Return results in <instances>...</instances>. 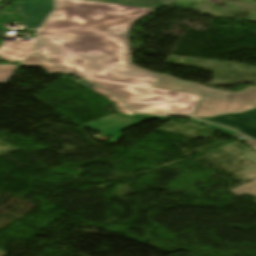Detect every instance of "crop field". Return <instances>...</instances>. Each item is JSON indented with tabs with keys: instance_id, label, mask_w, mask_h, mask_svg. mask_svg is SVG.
<instances>
[{
	"instance_id": "1",
	"label": "crop field",
	"mask_w": 256,
	"mask_h": 256,
	"mask_svg": "<svg viewBox=\"0 0 256 256\" xmlns=\"http://www.w3.org/2000/svg\"><path fill=\"white\" fill-rule=\"evenodd\" d=\"M56 2L39 32L38 54L98 84L133 111L192 117L202 96L152 88L158 74L131 63L127 39L131 25L154 9L84 0Z\"/></svg>"
},
{
	"instance_id": "2",
	"label": "crop field",
	"mask_w": 256,
	"mask_h": 256,
	"mask_svg": "<svg viewBox=\"0 0 256 256\" xmlns=\"http://www.w3.org/2000/svg\"><path fill=\"white\" fill-rule=\"evenodd\" d=\"M154 87L256 104V87H247L245 90L240 92H229L227 94H223L201 90L203 87L202 85L180 81L174 77L164 74L159 75Z\"/></svg>"
},
{
	"instance_id": "3",
	"label": "crop field",
	"mask_w": 256,
	"mask_h": 256,
	"mask_svg": "<svg viewBox=\"0 0 256 256\" xmlns=\"http://www.w3.org/2000/svg\"><path fill=\"white\" fill-rule=\"evenodd\" d=\"M255 107L256 105L204 96L193 117H212L225 113H239Z\"/></svg>"
},
{
	"instance_id": "4",
	"label": "crop field",
	"mask_w": 256,
	"mask_h": 256,
	"mask_svg": "<svg viewBox=\"0 0 256 256\" xmlns=\"http://www.w3.org/2000/svg\"><path fill=\"white\" fill-rule=\"evenodd\" d=\"M233 128L256 140V110L243 114L224 115L211 119H200Z\"/></svg>"
},
{
	"instance_id": "5",
	"label": "crop field",
	"mask_w": 256,
	"mask_h": 256,
	"mask_svg": "<svg viewBox=\"0 0 256 256\" xmlns=\"http://www.w3.org/2000/svg\"><path fill=\"white\" fill-rule=\"evenodd\" d=\"M52 0L45 2H19L18 12L23 15L19 22L28 29H38L39 25L52 10Z\"/></svg>"
},
{
	"instance_id": "6",
	"label": "crop field",
	"mask_w": 256,
	"mask_h": 256,
	"mask_svg": "<svg viewBox=\"0 0 256 256\" xmlns=\"http://www.w3.org/2000/svg\"><path fill=\"white\" fill-rule=\"evenodd\" d=\"M33 47L34 41L3 42L0 47V58L8 61L19 60L33 51Z\"/></svg>"
},
{
	"instance_id": "7",
	"label": "crop field",
	"mask_w": 256,
	"mask_h": 256,
	"mask_svg": "<svg viewBox=\"0 0 256 256\" xmlns=\"http://www.w3.org/2000/svg\"><path fill=\"white\" fill-rule=\"evenodd\" d=\"M146 120L147 119H141V118H128L119 123H116L107 128H104L100 131L109 135L111 138H113L114 140L111 143L116 144L117 141L123 136V134L120 133L121 131L127 130L139 123L146 121Z\"/></svg>"
},
{
	"instance_id": "8",
	"label": "crop field",
	"mask_w": 256,
	"mask_h": 256,
	"mask_svg": "<svg viewBox=\"0 0 256 256\" xmlns=\"http://www.w3.org/2000/svg\"><path fill=\"white\" fill-rule=\"evenodd\" d=\"M20 65L24 67H29V66H36V67H42L48 74H54V73H61V74H67L70 75L58 68H56L54 65L49 63L48 61L32 54L25 58L24 60L20 61Z\"/></svg>"
},
{
	"instance_id": "9",
	"label": "crop field",
	"mask_w": 256,
	"mask_h": 256,
	"mask_svg": "<svg viewBox=\"0 0 256 256\" xmlns=\"http://www.w3.org/2000/svg\"><path fill=\"white\" fill-rule=\"evenodd\" d=\"M106 2L147 6V7H163L171 5L175 0H104Z\"/></svg>"
},
{
	"instance_id": "10",
	"label": "crop field",
	"mask_w": 256,
	"mask_h": 256,
	"mask_svg": "<svg viewBox=\"0 0 256 256\" xmlns=\"http://www.w3.org/2000/svg\"><path fill=\"white\" fill-rule=\"evenodd\" d=\"M17 4L18 2H15L11 6H17ZM11 6H7L2 11H0V28L1 29L4 23H7L9 21H14L18 23L22 17L17 13L16 9H9Z\"/></svg>"
},
{
	"instance_id": "11",
	"label": "crop field",
	"mask_w": 256,
	"mask_h": 256,
	"mask_svg": "<svg viewBox=\"0 0 256 256\" xmlns=\"http://www.w3.org/2000/svg\"><path fill=\"white\" fill-rule=\"evenodd\" d=\"M124 118H126V117L116 113L114 115H111V116H108L106 118L97 120L95 122L89 123V124L84 125V126L89 128V129H91V130H93V131H96V130H98L100 128H103V127H105L107 125H110V124H112L114 122H117V121H119L121 119H124Z\"/></svg>"
},
{
	"instance_id": "12",
	"label": "crop field",
	"mask_w": 256,
	"mask_h": 256,
	"mask_svg": "<svg viewBox=\"0 0 256 256\" xmlns=\"http://www.w3.org/2000/svg\"><path fill=\"white\" fill-rule=\"evenodd\" d=\"M98 93H100L101 95L105 96L109 101L113 102L115 104L116 110L124 115H132L133 113H131L130 111H128L123 104L121 103L120 100L114 98L113 96L109 95L108 93L102 91L99 88H94L92 89Z\"/></svg>"
},
{
	"instance_id": "13",
	"label": "crop field",
	"mask_w": 256,
	"mask_h": 256,
	"mask_svg": "<svg viewBox=\"0 0 256 256\" xmlns=\"http://www.w3.org/2000/svg\"><path fill=\"white\" fill-rule=\"evenodd\" d=\"M230 192L234 193L237 196H240L243 194H252L256 196V180L248 184H245L241 187H238L236 189H233Z\"/></svg>"
},
{
	"instance_id": "14",
	"label": "crop field",
	"mask_w": 256,
	"mask_h": 256,
	"mask_svg": "<svg viewBox=\"0 0 256 256\" xmlns=\"http://www.w3.org/2000/svg\"><path fill=\"white\" fill-rule=\"evenodd\" d=\"M191 122L201 123V124H203V125H206V126L215 128V129H217V130H219V131H222V132H224V133H226V134L232 135V136H234V137H236V138H237V136L240 135V134L235 133V132H233V131H231V130H229V129L222 128V127H219V126H216V125H212V124H208V123H203V122L195 121V120H193V119H191Z\"/></svg>"
},
{
	"instance_id": "15",
	"label": "crop field",
	"mask_w": 256,
	"mask_h": 256,
	"mask_svg": "<svg viewBox=\"0 0 256 256\" xmlns=\"http://www.w3.org/2000/svg\"><path fill=\"white\" fill-rule=\"evenodd\" d=\"M19 65L17 64L15 71H0V84L7 83L11 76L19 69Z\"/></svg>"
},
{
	"instance_id": "16",
	"label": "crop field",
	"mask_w": 256,
	"mask_h": 256,
	"mask_svg": "<svg viewBox=\"0 0 256 256\" xmlns=\"http://www.w3.org/2000/svg\"><path fill=\"white\" fill-rule=\"evenodd\" d=\"M16 65H0V70H14Z\"/></svg>"
},
{
	"instance_id": "17",
	"label": "crop field",
	"mask_w": 256,
	"mask_h": 256,
	"mask_svg": "<svg viewBox=\"0 0 256 256\" xmlns=\"http://www.w3.org/2000/svg\"><path fill=\"white\" fill-rule=\"evenodd\" d=\"M203 89H205V90H211V91H217V92L227 93V91H223V90H219V89H211V88L206 87V86H204V88H203Z\"/></svg>"
},
{
	"instance_id": "18",
	"label": "crop field",
	"mask_w": 256,
	"mask_h": 256,
	"mask_svg": "<svg viewBox=\"0 0 256 256\" xmlns=\"http://www.w3.org/2000/svg\"><path fill=\"white\" fill-rule=\"evenodd\" d=\"M138 117H147V118H158V119H166V118H162V117H153V116H147V115H141V114H138L136 115Z\"/></svg>"
},
{
	"instance_id": "19",
	"label": "crop field",
	"mask_w": 256,
	"mask_h": 256,
	"mask_svg": "<svg viewBox=\"0 0 256 256\" xmlns=\"http://www.w3.org/2000/svg\"><path fill=\"white\" fill-rule=\"evenodd\" d=\"M244 142L250 144L254 149H256V143H255V142H253V141H251V140H246V141H244Z\"/></svg>"
}]
</instances>
